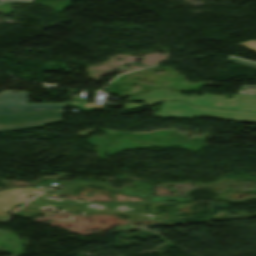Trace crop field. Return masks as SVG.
<instances>
[{"label": "crop field", "instance_id": "crop-field-1", "mask_svg": "<svg viewBox=\"0 0 256 256\" xmlns=\"http://www.w3.org/2000/svg\"><path fill=\"white\" fill-rule=\"evenodd\" d=\"M172 90H151L147 94L130 97L129 100H145L147 104H154L164 100H184L195 106L217 107L229 110L256 111V97L236 94L232 100L225 96L204 94L202 97L184 96Z\"/></svg>", "mask_w": 256, "mask_h": 256}, {"label": "crop field", "instance_id": "crop-field-2", "mask_svg": "<svg viewBox=\"0 0 256 256\" xmlns=\"http://www.w3.org/2000/svg\"><path fill=\"white\" fill-rule=\"evenodd\" d=\"M157 116L177 118L200 116L256 123V113L196 108L184 102H163Z\"/></svg>", "mask_w": 256, "mask_h": 256}, {"label": "crop field", "instance_id": "crop-field-3", "mask_svg": "<svg viewBox=\"0 0 256 256\" xmlns=\"http://www.w3.org/2000/svg\"><path fill=\"white\" fill-rule=\"evenodd\" d=\"M60 111L30 113L0 117V131L21 130L30 127L43 126L51 123L62 122Z\"/></svg>", "mask_w": 256, "mask_h": 256}, {"label": "crop field", "instance_id": "crop-field-4", "mask_svg": "<svg viewBox=\"0 0 256 256\" xmlns=\"http://www.w3.org/2000/svg\"><path fill=\"white\" fill-rule=\"evenodd\" d=\"M28 93L3 92L0 94V115L29 111L62 109L61 104H27Z\"/></svg>", "mask_w": 256, "mask_h": 256}, {"label": "crop field", "instance_id": "crop-field-5", "mask_svg": "<svg viewBox=\"0 0 256 256\" xmlns=\"http://www.w3.org/2000/svg\"><path fill=\"white\" fill-rule=\"evenodd\" d=\"M134 184L138 186V188L135 190H133L127 186L123 189L115 190L113 188H110V185H111L110 183H107L105 188L108 190H111V191L144 198L145 203H147V204L162 201V200L189 201V199H181L178 197H173V198L152 197V189H151L152 185L151 184H148L145 182H140V181H135Z\"/></svg>", "mask_w": 256, "mask_h": 256}, {"label": "crop field", "instance_id": "crop-field-6", "mask_svg": "<svg viewBox=\"0 0 256 256\" xmlns=\"http://www.w3.org/2000/svg\"><path fill=\"white\" fill-rule=\"evenodd\" d=\"M250 88H256V86H242L238 93L256 96V90H250Z\"/></svg>", "mask_w": 256, "mask_h": 256}, {"label": "crop field", "instance_id": "crop-field-7", "mask_svg": "<svg viewBox=\"0 0 256 256\" xmlns=\"http://www.w3.org/2000/svg\"><path fill=\"white\" fill-rule=\"evenodd\" d=\"M238 45L244 46V47H246V48L256 52V41H254V40H251V41H248V42H244V43H240Z\"/></svg>", "mask_w": 256, "mask_h": 256}, {"label": "crop field", "instance_id": "crop-field-8", "mask_svg": "<svg viewBox=\"0 0 256 256\" xmlns=\"http://www.w3.org/2000/svg\"><path fill=\"white\" fill-rule=\"evenodd\" d=\"M228 61L235 62V63H240V64H244V65H248V66L256 68V64L255 63L243 61V60L236 59V58H233V57H229Z\"/></svg>", "mask_w": 256, "mask_h": 256}, {"label": "crop field", "instance_id": "crop-field-9", "mask_svg": "<svg viewBox=\"0 0 256 256\" xmlns=\"http://www.w3.org/2000/svg\"><path fill=\"white\" fill-rule=\"evenodd\" d=\"M32 0H0V5L5 2H31Z\"/></svg>", "mask_w": 256, "mask_h": 256}, {"label": "crop field", "instance_id": "crop-field-10", "mask_svg": "<svg viewBox=\"0 0 256 256\" xmlns=\"http://www.w3.org/2000/svg\"><path fill=\"white\" fill-rule=\"evenodd\" d=\"M86 107L105 108L106 106L101 105V104H89V103H86Z\"/></svg>", "mask_w": 256, "mask_h": 256}, {"label": "crop field", "instance_id": "crop-field-11", "mask_svg": "<svg viewBox=\"0 0 256 256\" xmlns=\"http://www.w3.org/2000/svg\"><path fill=\"white\" fill-rule=\"evenodd\" d=\"M137 107H140V105L130 104V105H126L125 109H132V108H137Z\"/></svg>", "mask_w": 256, "mask_h": 256}, {"label": "crop field", "instance_id": "crop-field-12", "mask_svg": "<svg viewBox=\"0 0 256 256\" xmlns=\"http://www.w3.org/2000/svg\"><path fill=\"white\" fill-rule=\"evenodd\" d=\"M7 216V213L0 211V221H2Z\"/></svg>", "mask_w": 256, "mask_h": 256}, {"label": "crop field", "instance_id": "crop-field-13", "mask_svg": "<svg viewBox=\"0 0 256 256\" xmlns=\"http://www.w3.org/2000/svg\"><path fill=\"white\" fill-rule=\"evenodd\" d=\"M32 201H30V202H28L26 205H28L29 203H31ZM26 205H24V206H26Z\"/></svg>", "mask_w": 256, "mask_h": 256}]
</instances>
